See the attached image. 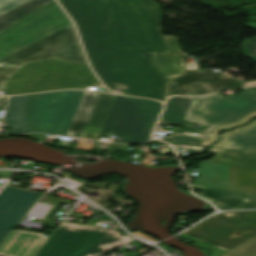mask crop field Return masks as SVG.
<instances>
[{
    "instance_id": "1",
    "label": "crop field",
    "mask_w": 256,
    "mask_h": 256,
    "mask_svg": "<svg viewBox=\"0 0 256 256\" xmlns=\"http://www.w3.org/2000/svg\"><path fill=\"white\" fill-rule=\"evenodd\" d=\"M75 21L90 63L107 87L164 101L167 79L152 52H167L153 0H59Z\"/></svg>"
},
{
    "instance_id": "2",
    "label": "crop field",
    "mask_w": 256,
    "mask_h": 256,
    "mask_svg": "<svg viewBox=\"0 0 256 256\" xmlns=\"http://www.w3.org/2000/svg\"><path fill=\"white\" fill-rule=\"evenodd\" d=\"M256 112V88L244 89L238 96L224 98L220 93L194 98L184 122L207 125L205 131L183 128L181 133L203 134L202 138L180 135L172 140L201 145L217 127L233 124Z\"/></svg>"
},
{
    "instance_id": "3",
    "label": "crop field",
    "mask_w": 256,
    "mask_h": 256,
    "mask_svg": "<svg viewBox=\"0 0 256 256\" xmlns=\"http://www.w3.org/2000/svg\"><path fill=\"white\" fill-rule=\"evenodd\" d=\"M89 83V84H86ZM86 65L45 60L25 65L8 80L7 94L100 86Z\"/></svg>"
},
{
    "instance_id": "4",
    "label": "crop field",
    "mask_w": 256,
    "mask_h": 256,
    "mask_svg": "<svg viewBox=\"0 0 256 256\" xmlns=\"http://www.w3.org/2000/svg\"><path fill=\"white\" fill-rule=\"evenodd\" d=\"M129 240L112 229L63 222L35 256H98Z\"/></svg>"
},
{
    "instance_id": "5",
    "label": "crop field",
    "mask_w": 256,
    "mask_h": 256,
    "mask_svg": "<svg viewBox=\"0 0 256 256\" xmlns=\"http://www.w3.org/2000/svg\"><path fill=\"white\" fill-rule=\"evenodd\" d=\"M162 104L139 98L116 96L99 137L117 135L114 142L145 143L155 125ZM121 138V141L117 140Z\"/></svg>"
},
{
    "instance_id": "6",
    "label": "crop field",
    "mask_w": 256,
    "mask_h": 256,
    "mask_svg": "<svg viewBox=\"0 0 256 256\" xmlns=\"http://www.w3.org/2000/svg\"><path fill=\"white\" fill-rule=\"evenodd\" d=\"M237 233L242 235L236 238ZM180 236L194 241L193 245L212 250L211 256H221L256 236V211L216 215Z\"/></svg>"
},
{
    "instance_id": "7",
    "label": "crop field",
    "mask_w": 256,
    "mask_h": 256,
    "mask_svg": "<svg viewBox=\"0 0 256 256\" xmlns=\"http://www.w3.org/2000/svg\"><path fill=\"white\" fill-rule=\"evenodd\" d=\"M45 59H61L77 64H86L73 25L1 60L0 91L6 89L7 79L25 64Z\"/></svg>"
},
{
    "instance_id": "8",
    "label": "crop field",
    "mask_w": 256,
    "mask_h": 256,
    "mask_svg": "<svg viewBox=\"0 0 256 256\" xmlns=\"http://www.w3.org/2000/svg\"><path fill=\"white\" fill-rule=\"evenodd\" d=\"M70 24L53 0L0 32V60Z\"/></svg>"
},
{
    "instance_id": "9",
    "label": "crop field",
    "mask_w": 256,
    "mask_h": 256,
    "mask_svg": "<svg viewBox=\"0 0 256 256\" xmlns=\"http://www.w3.org/2000/svg\"><path fill=\"white\" fill-rule=\"evenodd\" d=\"M40 195L10 186L3 189L0 193V243Z\"/></svg>"
},
{
    "instance_id": "10",
    "label": "crop field",
    "mask_w": 256,
    "mask_h": 256,
    "mask_svg": "<svg viewBox=\"0 0 256 256\" xmlns=\"http://www.w3.org/2000/svg\"><path fill=\"white\" fill-rule=\"evenodd\" d=\"M223 89V76L216 73H203L197 64H189L187 73L171 81L169 93L194 96Z\"/></svg>"
},
{
    "instance_id": "11",
    "label": "crop field",
    "mask_w": 256,
    "mask_h": 256,
    "mask_svg": "<svg viewBox=\"0 0 256 256\" xmlns=\"http://www.w3.org/2000/svg\"><path fill=\"white\" fill-rule=\"evenodd\" d=\"M69 91L32 95L28 104L36 132L49 133Z\"/></svg>"
},
{
    "instance_id": "12",
    "label": "crop field",
    "mask_w": 256,
    "mask_h": 256,
    "mask_svg": "<svg viewBox=\"0 0 256 256\" xmlns=\"http://www.w3.org/2000/svg\"><path fill=\"white\" fill-rule=\"evenodd\" d=\"M41 234L13 230L0 245V254L8 256H34L48 239Z\"/></svg>"
},
{
    "instance_id": "13",
    "label": "crop field",
    "mask_w": 256,
    "mask_h": 256,
    "mask_svg": "<svg viewBox=\"0 0 256 256\" xmlns=\"http://www.w3.org/2000/svg\"><path fill=\"white\" fill-rule=\"evenodd\" d=\"M194 189H201L203 193L196 194L214 203L218 208L236 209L256 207V195L247 194L205 186L191 185Z\"/></svg>"
},
{
    "instance_id": "14",
    "label": "crop field",
    "mask_w": 256,
    "mask_h": 256,
    "mask_svg": "<svg viewBox=\"0 0 256 256\" xmlns=\"http://www.w3.org/2000/svg\"><path fill=\"white\" fill-rule=\"evenodd\" d=\"M168 53H152L155 67L168 79L184 72V58L176 37L164 36Z\"/></svg>"
},
{
    "instance_id": "15",
    "label": "crop field",
    "mask_w": 256,
    "mask_h": 256,
    "mask_svg": "<svg viewBox=\"0 0 256 256\" xmlns=\"http://www.w3.org/2000/svg\"><path fill=\"white\" fill-rule=\"evenodd\" d=\"M29 95L15 96L10 98V102L4 117L11 128L8 134L34 132L29 123L26 104Z\"/></svg>"
},
{
    "instance_id": "16",
    "label": "crop field",
    "mask_w": 256,
    "mask_h": 256,
    "mask_svg": "<svg viewBox=\"0 0 256 256\" xmlns=\"http://www.w3.org/2000/svg\"><path fill=\"white\" fill-rule=\"evenodd\" d=\"M115 95L98 96L88 123L81 135L82 138L96 139Z\"/></svg>"
},
{
    "instance_id": "17",
    "label": "crop field",
    "mask_w": 256,
    "mask_h": 256,
    "mask_svg": "<svg viewBox=\"0 0 256 256\" xmlns=\"http://www.w3.org/2000/svg\"><path fill=\"white\" fill-rule=\"evenodd\" d=\"M84 92L70 91L50 133L65 135Z\"/></svg>"
},
{
    "instance_id": "18",
    "label": "crop field",
    "mask_w": 256,
    "mask_h": 256,
    "mask_svg": "<svg viewBox=\"0 0 256 256\" xmlns=\"http://www.w3.org/2000/svg\"><path fill=\"white\" fill-rule=\"evenodd\" d=\"M210 151L216 153L215 157L204 161L256 170V155L254 154L233 152L215 148H211Z\"/></svg>"
},
{
    "instance_id": "19",
    "label": "crop field",
    "mask_w": 256,
    "mask_h": 256,
    "mask_svg": "<svg viewBox=\"0 0 256 256\" xmlns=\"http://www.w3.org/2000/svg\"><path fill=\"white\" fill-rule=\"evenodd\" d=\"M98 94L85 92L66 135L80 137Z\"/></svg>"
},
{
    "instance_id": "20",
    "label": "crop field",
    "mask_w": 256,
    "mask_h": 256,
    "mask_svg": "<svg viewBox=\"0 0 256 256\" xmlns=\"http://www.w3.org/2000/svg\"><path fill=\"white\" fill-rule=\"evenodd\" d=\"M224 165L201 161L200 169L193 184L221 188Z\"/></svg>"
},
{
    "instance_id": "21",
    "label": "crop field",
    "mask_w": 256,
    "mask_h": 256,
    "mask_svg": "<svg viewBox=\"0 0 256 256\" xmlns=\"http://www.w3.org/2000/svg\"><path fill=\"white\" fill-rule=\"evenodd\" d=\"M222 148L256 154V126L230 135Z\"/></svg>"
},
{
    "instance_id": "22",
    "label": "crop field",
    "mask_w": 256,
    "mask_h": 256,
    "mask_svg": "<svg viewBox=\"0 0 256 256\" xmlns=\"http://www.w3.org/2000/svg\"><path fill=\"white\" fill-rule=\"evenodd\" d=\"M192 100L184 97L169 99L160 122L182 124Z\"/></svg>"
},
{
    "instance_id": "23",
    "label": "crop field",
    "mask_w": 256,
    "mask_h": 256,
    "mask_svg": "<svg viewBox=\"0 0 256 256\" xmlns=\"http://www.w3.org/2000/svg\"><path fill=\"white\" fill-rule=\"evenodd\" d=\"M52 0H31L0 16V31Z\"/></svg>"
},
{
    "instance_id": "24",
    "label": "crop field",
    "mask_w": 256,
    "mask_h": 256,
    "mask_svg": "<svg viewBox=\"0 0 256 256\" xmlns=\"http://www.w3.org/2000/svg\"><path fill=\"white\" fill-rule=\"evenodd\" d=\"M223 256H256V237L234 248Z\"/></svg>"
},
{
    "instance_id": "25",
    "label": "crop field",
    "mask_w": 256,
    "mask_h": 256,
    "mask_svg": "<svg viewBox=\"0 0 256 256\" xmlns=\"http://www.w3.org/2000/svg\"><path fill=\"white\" fill-rule=\"evenodd\" d=\"M245 26L256 29V23L245 24ZM242 53L256 61V38L254 40L246 39L242 42Z\"/></svg>"
},
{
    "instance_id": "26",
    "label": "crop field",
    "mask_w": 256,
    "mask_h": 256,
    "mask_svg": "<svg viewBox=\"0 0 256 256\" xmlns=\"http://www.w3.org/2000/svg\"><path fill=\"white\" fill-rule=\"evenodd\" d=\"M29 0H0V15Z\"/></svg>"
},
{
    "instance_id": "27",
    "label": "crop field",
    "mask_w": 256,
    "mask_h": 256,
    "mask_svg": "<svg viewBox=\"0 0 256 256\" xmlns=\"http://www.w3.org/2000/svg\"><path fill=\"white\" fill-rule=\"evenodd\" d=\"M255 115H256V114H250V115H248L247 117H245L244 119H242L241 121H239L238 123L233 124V125H229V126H226V127H222V128L229 129V128L232 127V126L244 124V123H246L251 117H253V116H255ZM219 129H220V128H217V129L215 130L214 134L208 139V141H207L203 146H206V145H208L209 143L214 142V141H216V140L218 139V137L216 136V134H217V132H218Z\"/></svg>"
},
{
    "instance_id": "28",
    "label": "crop field",
    "mask_w": 256,
    "mask_h": 256,
    "mask_svg": "<svg viewBox=\"0 0 256 256\" xmlns=\"http://www.w3.org/2000/svg\"><path fill=\"white\" fill-rule=\"evenodd\" d=\"M255 125H256V120H254V122L252 124L248 125V126H242V127H239L237 129L233 130L232 132H228V133L223 134L222 135L223 136L222 140L220 142H218L216 145H214L213 147L221 148L226 143V141L228 140V136L230 134H232V133H234L236 131H240V130L251 128V127H253Z\"/></svg>"
},
{
    "instance_id": "29",
    "label": "crop field",
    "mask_w": 256,
    "mask_h": 256,
    "mask_svg": "<svg viewBox=\"0 0 256 256\" xmlns=\"http://www.w3.org/2000/svg\"><path fill=\"white\" fill-rule=\"evenodd\" d=\"M241 87V82L224 77V89Z\"/></svg>"
},
{
    "instance_id": "30",
    "label": "crop field",
    "mask_w": 256,
    "mask_h": 256,
    "mask_svg": "<svg viewBox=\"0 0 256 256\" xmlns=\"http://www.w3.org/2000/svg\"><path fill=\"white\" fill-rule=\"evenodd\" d=\"M6 101H7V97L0 98V110L5 109Z\"/></svg>"
},
{
    "instance_id": "31",
    "label": "crop field",
    "mask_w": 256,
    "mask_h": 256,
    "mask_svg": "<svg viewBox=\"0 0 256 256\" xmlns=\"http://www.w3.org/2000/svg\"><path fill=\"white\" fill-rule=\"evenodd\" d=\"M188 151L192 152V153H198V154L202 153V151H197V150H193V149H190V148H188Z\"/></svg>"
},
{
    "instance_id": "32",
    "label": "crop field",
    "mask_w": 256,
    "mask_h": 256,
    "mask_svg": "<svg viewBox=\"0 0 256 256\" xmlns=\"http://www.w3.org/2000/svg\"><path fill=\"white\" fill-rule=\"evenodd\" d=\"M166 142H168V143H170V144H172V145H175V144H182V143H177V142H171V141H166ZM182 145H189V144H182ZM194 146H196V145H194ZM201 147V146H200Z\"/></svg>"
},
{
    "instance_id": "33",
    "label": "crop field",
    "mask_w": 256,
    "mask_h": 256,
    "mask_svg": "<svg viewBox=\"0 0 256 256\" xmlns=\"http://www.w3.org/2000/svg\"><path fill=\"white\" fill-rule=\"evenodd\" d=\"M24 136L31 137V138H37L36 134H25Z\"/></svg>"
},
{
    "instance_id": "34",
    "label": "crop field",
    "mask_w": 256,
    "mask_h": 256,
    "mask_svg": "<svg viewBox=\"0 0 256 256\" xmlns=\"http://www.w3.org/2000/svg\"><path fill=\"white\" fill-rule=\"evenodd\" d=\"M37 137H38V138H45L46 135H45V134H37Z\"/></svg>"
},
{
    "instance_id": "35",
    "label": "crop field",
    "mask_w": 256,
    "mask_h": 256,
    "mask_svg": "<svg viewBox=\"0 0 256 256\" xmlns=\"http://www.w3.org/2000/svg\"><path fill=\"white\" fill-rule=\"evenodd\" d=\"M0 97H2V96H0Z\"/></svg>"
}]
</instances>
